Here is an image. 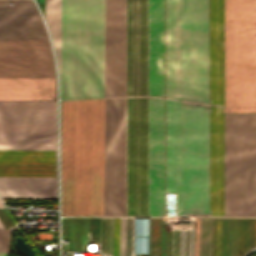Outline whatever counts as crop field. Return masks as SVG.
I'll list each match as a JSON object with an SVG mask.
<instances>
[{"label":"crop field","mask_w":256,"mask_h":256,"mask_svg":"<svg viewBox=\"0 0 256 256\" xmlns=\"http://www.w3.org/2000/svg\"><path fill=\"white\" fill-rule=\"evenodd\" d=\"M149 216H164V99L149 97Z\"/></svg>","instance_id":"12"},{"label":"crop field","mask_w":256,"mask_h":256,"mask_svg":"<svg viewBox=\"0 0 256 256\" xmlns=\"http://www.w3.org/2000/svg\"><path fill=\"white\" fill-rule=\"evenodd\" d=\"M149 96L164 98V0H149Z\"/></svg>","instance_id":"16"},{"label":"crop field","mask_w":256,"mask_h":256,"mask_svg":"<svg viewBox=\"0 0 256 256\" xmlns=\"http://www.w3.org/2000/svg\"><path fill=\"white\" fill-rule=\"evenodd\" d=\"M0 150L57 151L56 101L0 102ZM0 175H57V152L0 151ZM5 177V198H56L55 176Z\"/></svg>","instance_id":"2"},{"label":"crop field","mask_w":256,"mask_h":256,"mask_svg":"<svg viewBox=\"0 0 256 256\" xmlns=\"http://www.w3.org/2000/svg\"><path fill=\"white\" fill-rule=\"evenodd\" d=\"M1 203V201H0ZM9 231L10 229L0 228V252L8 253L9 250ZM0 253V256H7L8 254Z\"/></svg>","instance_id":"22"},{"label":"crop field","mask_w":256,"mask_h":256,"mask_svg":"<svg viewBox=\"0 0 256 256\" xmlns=\"http://www.w3.org/2000/svg\"><path fill=\"white\" fill-rule=\"evenodd\" d=\"M194 230H175L174 256H193Z\"/></svg>","instance_id":"17"},{"label":"crop field","mask_w":256,"mask_h":256,"mask_svg":"<svg viewBox=\"0 0 256 256\" xmlns=\"http://www.w3.org/2000/svg\"><path fill=\"white\" fill-rule=\"evenodd\" d=\"M105 216H126L125 98L105 99Z\"/></svg>","instance_id":"9"},{"label":"crop field","mask_w":256,"mask_h":256,"mask_svg":"<svg viewBox=\"0 0 256 256\" xmlns=\"http://www.w3.org/2000/svg\"><path fill=\"white\" fill-rule=\"evenodd\" d=\"M166 199H180V102L166 100ZM181 213H208V110L181 106Z\"/></svg>","instance_id":"6"},{"label":"crop field","mask_w":256,"mask_h":256,"mask_svg":"<svg viewBox=\"0 0 256 256\" xmlns=\"http://www.w3.org/2000/svg\"><path fill=\"white\" fill-rule=\"evenodd\" d=\"M113 218H102L101 253L112 255Z\"/></svg>","instance_id":"19"},{"label":"crop field","mask_w":256,"mask_h":256,"mask_svg":"<svg viewBox=\"0 0 256 256\" xmlns=\"http://www.w3.org/2000/svg\"><path fill=\"white\" fill-rule=\"evenodd\" d=\"M62 216H104V98L61 101Z\"/></svg>","instance_id":"3"},{"label":"crop field","mask_w":256,"mask_h":256,"mask_svg":"<svg viewBox=\"0 0 256 256\" xmlns=\"http://www.w3.org/2000/svg\"><path fill=\"white\" fill-rule=\"evenodd\" d=\"M129 218H121L119 256H128Z\"/></svg>","instance_id":"21"},{"label":"crop field","mask_w":256,"mask_h":256,"mask_svg":"<svg viewBox=\"0 0 256 256\" xmlns=\"http://www.w3.org/2000/svg\"><path fill=\"white\" fill-rule=\"evenodd\" d=\"M150 226H152V244H155V238H159V226H161V218H150ZM149 256H161V227H160V239H156V245H151V227H150Z\"/></svg>","instance_id":"20"},{"label":"crop field","mask_w":256,"mask_h":256,"mask_svg":"<svg viewBox=\"0 0 256 256\" xmlns=\"http://www.w3.org/2000/svg\"><path fill=\"white\" fill-rule=\"evenodd\" d=\"M148 96V0H126V96Z\"/></svg>","instance_id":"10"},{"label":"crop field","mask_w":256,"mask_h":256,"mask_svg":"<svg viewBox=\"0 0 256 256\" xmlns=\"http://www.w3.org/2000/svg\"><path fill=\"white\" fill-rule=\"evenodd\" d=\"M125 96V0H105V97Z\"/></svg>","instance_id":"11"},{"label":"crop field","mask_w":256,"mask_h":256,"mask_svg":"<svg viewBox=\"0 0 256 256\" xmlns=\"http://www.w3.org/2000/svg\"><path fill=\"white\" fill-rule=\"evenodd\" d=\"M200 218H196L194 256H198Z\"/></svg>","instance_id":"24"},{"label":"crop field","mask_w":256,"mask_h":256,"mask_svg":"<svg viewBox=\"0 0 256 256\" xmlns=\"http://www.w3.org/2000/svg\"><path fill=\"white\" fill-rule=\"evenodd\" d=\"M135 235H148V219H135ZM135 252H148V237L135 236Z\"/></svg>","instance_id":"18"},{"label":"crop field","mask_w":256,"mask_h":256,"mask_svg":"<svg viewBox=\"0 0 256 256\" xmlns=\"http://www.w3.org/2000/svg\"><path fill=\"white\" fill-rule=\"evenodd\" d=\"M210 104L224 106V0H210Z\"/></svg>","instance_id":"15"},{"label":"crop field","mask_w":256,"mask_h":256,"mask_svg":"<svg viewBox=\"0 0 256 256\" xmlns=\"http://www.w3.org/2000/svg\"><path fill=\"white\" fill-rule=\"evenodd\" d=\"M238 227H239V218H236V238H235V218H233V239H232V218H226V230H225V218H214V228H213V218H210V233H209V218H207L205 256H208V233H209V256H211L212 228H213L212 256L224 255V230H225V255L224 256H231V239H232V256H234V238H235V256H237ZM241 227H242V218H240L238 256H240ZM205 228H206V218H205ZM200 229H201V226H200ZM203 229H204V218H202L200 256H202V251H203ZM244 235H245V218H243L241 254L244 253ZM255 245H256V218H246L245 252L251 249L252 247H254ZM204 250H205V229H204ZM199 252H200V244H199ZM203 256H204V252H203Z\"/></svg>","instance_id":"13"},{"label":"crop field","mask_w":256,"mask_h":256,"mask_svg":"<svg viewBox=\"0 0 256 256\" xmlns=\"http://www.w3.org/2000/svg\"><path fill=\"white\" fill-rule=\"evenodd\" d=\"M256 113V0H225V114ZM225 216H256V114L225 115Z\"/></svg>","instance_id":"1"},{"label":"crop field","mask_w":256,"mask_h":256,"mask_svg":"<svg viewBox=\"0 0 256 256\" xmlns=\"http://www.w3.org/2000/svg\"><path fill=\"white\" fill-rule=\"evenodd\" d=\"M61 99L104 97V0H45Z\"/></svg>","instance_id":"4"},{"label":"crop field","mask_w":256,"mask_h":256,"mask_svg":"<svg viewBox=\"0 0 256 256\" xmlns=\"http://www.w3.org/2000/svg\"><path fill=\"white\" fill-rule=\"evenodd\" d=\"M210 216H224V108L211 105Z\"/></svg>","instance_id":"14"},{"label":"crop field","mask_w":256,"mask_h":256,"mask_svg":"<svg viewBox=\"0 0 256 256\" xmlns=\"http://www.w3.org/2000/svg\"><path fill=\"white\" fill-rule=\"evenodd\" d=\"M127 216H148V97L126 98Z\"/></svg>","instance_id":"8"},{"label":"crop field","mask_w":256,"mask_h":256,"mask_svg":"<svg viewBox=\"0 0 256 256\" xmlns=\"http://www.w3.org/2000/svg\"><path fill=\"white\" fill-rule=\"evenodd\" d=\"M0 41H49L31 0H0ZM0 73H55L50 43L0 42ZM1 100H56V76L0 74Z\"/></svg>","instance_id":"5"},{"label":"crop field","mask_w":256,"mask_h":256,"mask_svg":"<svg viewBox=\"0 0 256 256\" xmlns=\"http://www.w3.org/2000/svg\"><path fill=\"white\" fill-rule=\"evenodd\" d=\"M166 94L208 100V0H165Z\"/></svg>","instance_id":"7"},{"label":"crop field","mask_w":256,"mask_h":256,"mask_svg":"<svg viewBox=\"0 0 256 256\" xmlns=\"http://www.w3.org/2000/svg\"><path fill=\"white\" fill-rule=\"evenodd\" d=\"M131 226H132V218H130L129 256H131Z\"/></svg>","instance_id":"25"},{"label":"crop field","mask_w":256,"mask_h":256,"mask_svg":"<svg viewBox=\"0 0 256 256\" xmlns=\"http://www.w3.org/2000/svg\"><path fill=\"white\" fill-rule=\"evenodd\" d=\"M120 218H114L113 256H118Z\"/></svg>","instance_id":"23"}]
</instances>
